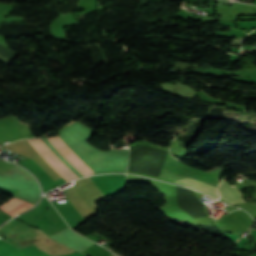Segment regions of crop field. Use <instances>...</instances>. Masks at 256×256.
Returning <instances> with one entry per match:
<instances>
[{"label": "crop field", "mask_w": 256, "mask_h": 256, "mask_svg": "<svg viewBox=\"0 0 256 256\" xmlns=\"http://www.w3.org/2000/svg\"><path fill=\"white\" fill-rule=\"evenodd\" d=\"M63 156L64 158L83 176H89L94 171L90 169L86 163L81 160L58 136L46 138ZM71 180L76 178L57 160V158L38 140H32Z\"/></svg>", "instance_id": "obj_1"}, {"label": "crop field", "mask_w": 256, "mask_h": 256, "mask_svg": "<svg viewBox=\"0 0 256 256\" xmlns=\"http://www.w3.org/2000/svg\"><path fill=\"white\" fill-rule=\"evenodd\" d=\"M219 193H220L221 199L228 201L230 203L244 202L241 199L242 194L238 191L235 185L230 186L224 180L221 182L219 186Z\"/></svg>", "instance_id": "obj_2"}, {"label": "crop field", "mask_w": 256, "mask_h": 256, "mask_svg": "<svg viewBox=\"0 0 256 256\" xmlns=\"http://www.w3.org/2000/svg\"><path fill=\"white\" fill-rule=\"evenodd\" d=\"M31 205H33V204L23 201L18 198H12V200L10 202L1 205L0 208L13 217V216L19 214L20 212L24 211Z\"/></svg>", "instance_id": "obj_3"}, {"label": "crop field", "mask_w": 256, "mask_h": 256, "mask_svg": "<svg viewBox=\"0 0 256 256\" xmlns=\"http://www.w3.org/2000/svg\"><path fill=\"white\" fill-rule=\"evenodd\" d=\"M181 184H184V185H186V187L192 188V189L200 191L202 193H206V192H211V191L217 190L214 187H211L209 185L203 184V183L198 182L196 180H193L191 178L185 180Z\"/></svg>", "instance_id": "obj_4"}, {"label": "crop field", "mask_w": 256, "mask_h": 256, "mask_svg": "<svg viewBox=\"0 0 256 256\" xmlns=\"http://www.w3.org/2000/svg\"><path fill=\"white\" fill-rule=\"evenodd\" d=\"M240 241V238L238 239V242Z\"/></svg>", "instance_id": "obj_5"}]
</instances>
